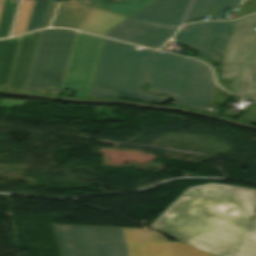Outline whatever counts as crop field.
Returning a JSON list of instances; mask_svg holds the SVG:
<instances>
[{
    "label": "crop field",
    "instance_id": "obj_12",
    "mask_svg": "<svg viewBox=\"0 0 256 256\" xmlns=\"http://www.w3.org/2000/svg\"><path fill=\"white\" fill-rule=\"evenodd\" d=\"M238 4L239 0H194L183 24L192 19L206 17L211 5H218L212 20L223 19L228 7Z\"/></svg>",
    "mask_w": 256,
    "mask_h": 256
},
{
    "label": "crop field",
    "instance_id": "obj_15",
    "mask_svg": "<svg viewBox=\"0 0 256 256\" xmlns=\"http://www.w3.org/2000/svg\"><path fill=\"white\" fill-rule=\"evenodd\" d=\"M253 12H256V0H241L236 17Z\"/></svg>",
    "mask_w": 256,
    "mask_h": 256
},
{
    "label": "crop field",
    "instance_id": "obj_9",
    "mask_svg": "<svg viewBox=\"0 0 256 256\" xmlns=\"http://www.w3.org/2000/svg\"><path fill=\"white\" fill-rule=\"evenodd\" d=\"M127 19L78 2H60L51 26L73 29L105 36L106 31Z\"/></svg>",
    "mask_w": 256,
    "mask_h": 256
},
{
    "label": "crop field",
    "instance_id": "obj_3",
    "mask_svg": "<svg viewBox=\"0 0 256 256\" xmlns=\"http://www.w3.org/2000/svg\"><path fill=\"white\" fill-rule=\"evenodd\" d=\"M61 256H170L166 241L147 229L53 224ZM172 256H213L169 242Z\"/></svg>",
    "mask_w": 256,
    "mask_h": 256
},
{
    "label": "crop field",
    "instance_id": "obj_17",
    "mask_svg": "<svg viewBox=\"0 0 256 256\" xmlns=\"http://www.w3.org/2000/svg\"><path fill=\"white\" fill-rule=\"evenodd\" d=\"M239 120L256 123V103H254L246 112H243Z\"/></svg>",
    "mask_w": 256,
    "mask_h": 256
},
{
    "label": "crop field",
    "instance_id": "obj_7",
    "mask_svg": "<svg viewBox=\"0 0 256 256\" xmlns=\"http://www.w3.org/2000/svg\"><path fill=\"white\" fill-rule=\"evenodd\" d=\"M103 38L77 33L62 88L76 90L74 97H89L103 45Z\"/></svg>",
    "mask_w": 256,
    "mask_h": 256
},
{
    "label": "crop field",
    "instance_id": "obj_4",
    "mask_svg": "<svg viewBox=\"0 0 256 256\" xmlns=\"http://www.w3.org/2000/svg\"><path fill=\"white\" fill-rule=\"evenodd\" d=\"M256 15L233 22L223 52L222 73L217 82L225 90L232 84L235 93L256 101ZM225 78L235 82L226 81Z\"/></svg>",
    "mask_w": 256,
    "mask_h": 256
},
{
    "label": "crop field",
    "instance_id": "obj_13",
    "mask_svg": "<svg viewBox=\"0 0 256 256\" xmlns=\"http://www.w3.org/2000/svg\"><path fill=\"white\" fill-rule=\"evenodd\" d=\"M155 0H81L80 3L89 4L124 16H131Z\"/></svg>",
    "mask_w": 256,
    "mask_h": 256
},
{
    "label": "crop field",
    "instance_id": "obj_2",
    "mask_svg": "<svg viewBox=\"0 0 256 256\" xmlns=\"http://www.w3.org/2000/svg\"><path fill=\"white\" fill-rule=\"evenodd\" d=\"M145 81L147 89L174 96L173 105L204 112L214 85L212 72L198 61L106 39L91 97L165 103V96L140 90Z\"/></svg>",
    "mask_w": 256,
    "mask_h": 256
},
{
    "label": "crop field",
    "instance_id": "obj_11",
    "mask_svg": "<svg viewBox=\"0 0 256 256\" xmlns=\"http://www.w3.org/2000/svg\"><path fill=\"white\" fill-rule=\"evenodd\" d=\"M49 3L47 0H22L13 36L42 27Z\"/></svg>",
    "mask_w": 256,
    "mask_h": 256
},
{
    "label": "crop field",
    "instance_id": "obj_10",
    "mask_svg": "<svg viewBox=\"0 0 256 256\" xmlns=\"http://www.w3.org/2000/svg\"><path fill=\"white\" fill-rule=\"evenodd\" d=\"M232 22H203L188 25L190 27L186 31L181 29L174 37L175 43L189 46V49L200 51V54L218 62L219 57L208 48L214 38L229 33ZM228 36L216 39L211 48L221 54Z\"/></svg>",
    "mask_w": 256,
    "mask_h": 256
},
{
    "label": "crop field",
    "instance_id": "obj_8",
    "mask_svg": "<svg viewBox=\"0 0 256 256\" xmlns=\"http://www.w3.org/2000/svg\"><path fill=\"white\" fill-rule=\"evenodd\" d=\"M40 31L0 41V86L22 90L28 75Z\"/></svg>",
    "mask_w": 256,
    "mask_h": 256
},
{
    "label": "crop field",
    "instance_id": "obj_6",
    "mask_svg": "<svg viewBox=\"0 0 256 256\" xmlns=\"http://www.w3.org/2000/svg\"><path fill=\"white\" fill-rule=\"evenodd\" d=\"M76 32L66 29L41 31L34 60L27 77L25 91L59 95L65 77Z\"/></svg>",
    "mask_w": 256,
    "mask_h": 256
},
{
    "label": "crop field",
    "instance_id": "obj_1",
    "mask_svg": "<svg viewBox=\"0 0 256 256\" xmlns=\"http://www.w3.org/2000/svg\"><path fill=\"white\" fill-rule=\"evenodd\" d=\"M150 228L216 256H256V189L188 188Z\"/></svg>",
    "mask_w": 256,
    "mask_h": 256
},
{
    "label": "crop field",
    "instance_id": "obj_5",
    "mask_svg": "<svg viewBox=\"0 0 256 256\" xmlns=\"http://www.w3.org/2000/svg\"><path fill=\"white\" fill-rule=\"evenodd\" d=\"M191 0H156L106 36L159 48L180 26Z\"/></svg>",
    "mask_w": 256,
    "mask_h": 256
},
{
    "label": "crop field",
    "instance_id": "obj_14",
    "mask_svg": "<svg viewBox=\"0 0 256 256\" xmlns=\"http://www.w3.org/2000/svg\"><path fill=\"white\" fill-rule=\"evenodd\" d=\"M17 2L15 0H0V38L9 35Z\"/></svg>",
    "mask_w": 256,
    "mask_h": 256
},
{
    "label": "crop field",
    "instance_id": "obj_16",
    "mask_svg": "<svg viewBox=\"0 0 256 256\" xmlns=\"http://www.w3.org/2000/svg\"><path fill=\"white\" fill-rule=\"evenodd\" d=\"M229 96L230 94L215 86L210 104L219 105V103H223Z\"/></svg>",
    "mask_w": 256,
    "mask_h": 256
},
{
    "label": "crop field",
    "instance_id": "obj_18",
    "mask_svg": "<svg viewBox=\"0 0 256 256\" xmlns=\"http://www.w3.org/2000/svg\"><path fill=\"white\" fill-rule=\"evenodd\" d=\"M57 5V2H51L50 3V6H49V10H48V13H47V16H46V19H45V23H44V26H48L49 23H50V20L52 18V15H53V12L55 10V7Z\"/></svg>",
    "mask_w": 256,
    "mask_h": 256
}]
</instances>
